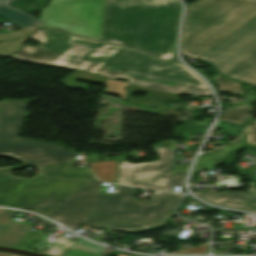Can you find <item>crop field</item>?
<instances>
[{"label": "crop field", "mask_w": 256, "mask_h": 256, "mask_svg": "<svg viewBox=\"0 0 256 256\" xmlns=\"http://www.w3.org/2000/svg\"><path fill=\"white\" fill-rule=\"evenodd\" d=\"M180 11L179 0H108L100 39L152 56L176 59Z\"/></svg>", "instance_id": "ac0d7876"}, {"label": "crop field", "mask_w": 256, "mask_h": 256, "mask_svg": "<svg viewBox=\"0 0 256 256\" xmlns=\"http://www.w3.org/2000/svg\"><path fill=\"white\" fill-rule=\"evenodd\" d=\"M76 79L98 82V83H103V84L105 83V80H106L103 77L95 76L92 74H88V73L76 70L71 75H69L67 78L61 80L60 82L70 88H80V89L88 90V88H89L88 85L80 84L75 81Z\"/></svg>", "instance_id": "733c2abd"}, {"label": "crop field", "mask_w": 256, "mask_h": 256, "mask_svg": "<svg viewBox=\"0 0 256 256\" xmlns=\"http://www.w3.org/2000/svg\"><path fill=\"white\" fill-rule=\"evenodd\" d=\"M31 227L11 222L0 233V245L15 247Z\"/></svg>", "instance_id": "cbeb9de0"}, {"label": "crop field", "mask_w": 256, "mask_h": 256, "mask_svg": "<svg viewBox=\"0 0 256 256\" xmlns=\"http://www.w3.org/2000/svg\"><path fill=\"white\" fill-rule=\"evenodd\" d=\"M16 212H11L7 210L0 209V232L3 230V228L10 223L13 218L17 215Z\"/></svg>", "instance_id": "00972430"}, {"label": "crop field", "mask_w": 256, "mask_h": 256, "mask_svg": "<svg viewBox=\"0 0 256 256\" xmlns=\"http://www.w3.org/2000/svg\"><path fill=\"white\" fill-rule=\"evenodd\" d=\"M11 1L13 0H0V17L22 27H31L43 24V21L41 20H38L16 8L8 7L7 5Z\"/></svg>", "instance_id": "d1516ede"}, {"label": "crop field", "mask_w": 256, "mask_h": 256, "mask_svg": "<svg viewBox=\"0 0 256 256\" xmlns=\"http://www.w3.org/2000/svg\"><path fill=\"white\" fill-rule=\"evenodd\" d=\"M206 248H207V245L199 248L190 249L181 253H205Z\"/></svg>", "instance_id": "ae1a2a85"}, {"label": "crop field", "mask_w": 256, "mask_h": 256, "mask_svg": "<svg viewBox=\"0 0 256 256\" xmlns=\"http://www.w3.org/2000/svg\"><path fill=\"white\" fill-rule=\"evenodd\" d=\"M38 28L39 27L32 28V29H27V30L15 31V32H12V33H9V34H5V35H0V41H5V40H8V39L19 38V37H21L23 35L35 32Z\"/></svg>", "instance_id": "a9b5d70f"}, {"label": "crop field", "mask_w": 256, "mask_h": 256, "mask_svg": "<svg viewBox=\"0 0 256 256\" xmlns=\"http://www.w3.org/2000/svg\"><path fill=\"white\" fill-rule=\"evenodd\" d=\"M199 197L212 203L228 207H237L256 212V190L255 183L249 182L247 194L243 193H210L194 192Z\"/></svg>", "instance_id": "28ad6ade"}, {"label": "crop field", "mask_w": 256, "mask_h": 256, "mask_svg": "<svg viewBox=\"0 0 256 256\" xmlns=\"http://www.w3.org/2000/svg\"><path fill=\"white\" fill-rule=\"evenodd\" d=\"M214 164V160H200L198 161L193 174H197L200 169L209 170Z\"/></svg>", "instance_id": "4177f3b9"}, {"label": "crop field", "mask_w": 256, "mask_h": 256, "mask_svg": "<svg viewBox=\"0 0 256 256\" xmlns=\"http://www.w3.org/2000/svg\"><path fill=\"white\" fill-rule=\"evenodd\" d=\"M13 169L0 168V205L27 208L46 217L90 181L46 178L40 174L23 179L14 177Z\"/></svg>", "instance_id": "f4fd0767"}, {"label": "crop field", "mask_w": 256, "mask_h": 256, "mask_svg": "<svg viewBox=\"0 0 256 256\" xmlns=\"http://www.w3.org/2000/svg\"><path fill=\"white\" fill-rule=\"evenodd\" d=\"M106 1L51 0L39 18L44 25L99 39Z\"/></svg>", "instance_id": "d8731c3e"}, {"label": "crop field", "mask_w": 256, "mask_h": 256, "mask_svg": "<svg viewBox=\"0 0 256 256\" xmlns=\"http://www.w3.org/2000/svg\"><path fill=\"white\" fill-rule=\"evenodd\" d=\"M196 1H198V0H196Z\"/></svg>", "instance_id": "120bbe31"}, {"label": "crop field", "mask_w": 256, "mask_h": 256, "mask_svg": "<svg viewBox=\"0 0 256 256\" xmlns=\"http://www.w3.org/2000/svg\"><path fill=\"white\" fill-rule=\"evenodd\" d=\"M27 36L18 40L0 43V55L13 56L17 50L30 38Z\"/></svg>", "instance_id": "92a150f3"}, {"label": "crop field", "mask_w": 256, "mask_h": 256, "mask_svg": "<svg viewBox=\"0 0 256 256\" xmlns=\"http://www.w3.org/2000/svg\"><path fill=\"white\" fill-rule=\"evenodd\" d=\"M160 160L132 165L119 161L117 183L139 188L168 191L174 186H183L185 177L171 175L178 158L172 151L154 148Z\"/></svg>", "instance_id": "5a996713"}, {"label": "crop field", "mask_w": 256, "mask_h": 256, "mask_svg": "<svg viewBox=\"0 0 256 256\" xmlns=\"http://www.w3.org/2000/svg\"><path fill=\"white\" fill-rule=\"evenodd\" d=\"M247 143L256 145V125L248 130Z\"/></svg>", "instance_id": "730fd06b"}, {"label": "crop field", "mask_w": 256, "mask_h": 256, "mask_svg": "<svg viewBox=\"0 0 256 256\" xmlns=\"http://www.w3.org/2000/svg\"><path fill=\"white\" fill-rule=\"evenodd\" d=\"M0 256H19V255H14V254H9V253H1Z\"/></svg>", "instance_id": "bd1437ed"}, {"label": "crop field", "mask_w": 256, "mask_h": 256, "mask_svg": "<svg viewBox=\"0 0 256 256\" xmlns=\"http://www.w3.org/2000/svg\"><path fill=\"white\" fill-rule=\"evenodd\" d=\"M174 140H166L162 141L156 144H153L152 146H158V147H163V148H169V149H176L175 147H172L174 145Z\"/></svg>", "instance_id": "eef30255"}, {"label": "crop field", "mask_w": 256, "mask_h": 256, "mask_svg": "<svg viewBox=\"0 0 256 256\" xmlns=\"http://www.w3.org/2000/svg\"><path fill=\"white\" fill-rule=\"evenodd\" d=\"M255 16L254 0H200L186 8L180 52L195 59Z\"/></svg>", "instance_id": "412701ff"}, {"label": "crop field", "mask_w": 256, "mask_h": 256, "mask_svg": "<svg viewBox=\"0 0 256 256\" xmlns=\"http://www.w3.org/2000/svg\"><path fill=\"white\" fill-rule=\"evenodd\" d=\"M134 188L116 185V193L100 191L86 222L94 228L148 231L167 224L183 194L155 191L148 202L134 201ZM86 225V226H87Z\"/></svg>", "instance_id": "34b2d1b8"}, {"label": "crop field", "mask_w": 256, "mask_h": 256, "mask_svg": "<svg viewBox=\"0 0 256 256\" xmlns=\"http://www.w3.org/2000/svg\"><path fill=\"white\" fill-rule=\"evenodd\" d=\"M104 249L79 238L63 256H101Z\"/></svg>", "instance_id": "5142ce71"}, {"label": "crop field", "mask_w": 256, "mask_h": 256, "mask_svg": "<svg viewBox=\"0 0 256 256\" xmlns=\"http://www.w3.org/2000/svg\"><path fill=\"white\" fill-rule=\"evenodd\" d=\"M30 101L33 100H2L0 107V156L15 158L32 166L72 161L75 152L63 150L62 146L18 139L22 120L30 115L26 112V103Z\"/></svg>", "instance_id": "dd49c442"}, {"label": "crop field", "mask_w": 256, "mask_h": 256, "mask_svg": "<svg viewBox=\"0 0 256 256\" xmlns=\"http://www.w3.org/2000/svg\"><path fill=\"white\" fill-rule=\"evenodd\" d=\"M1 104V103H0Z\"/></svg>", "instance_id": "d32e631a"}, {"label": "crop field", "mask_w": 256, "mask_h": 256, "mask_svg": "<svg viewBox=\"0 0 256 256\" xmlns=\"http://www.w3.org/2000/svg\"><path fill=\"white\" fill-rule=\"evenodd\" d=\"M215 76H216L217 86H218V89L220 92L234 93V94H238V95L242 94L241 90H240L239 83L225 79V78L219 76L218 74H215Z\"/></svg>", "instance_id": "214f88e0"}, {"label": "crop field", "mask_w": 256, "mask_h": 256, "mask_svg": "<svg viewBox=\"0 0 256 256\" xmlns=\"http://www.w3.org/2000/svg\"><path fill=\"white\" fill-rule=\"evenodd\" d=\"M233 245V242L226 243L225 251H214V253H232Z\"/></svg>", "instance_id": "d3111659"}, {"label": "crop field", "mask_w": 256, "mask_h": 256, "mask_svg": "<svg viewBox=\"0 0 256 256\" xmlns=\"http://www.w3.org/2000/svg\"><path fill=\"white\" fill-rule=\"evenodd\" d=\"M196 120L192 121H186L183 123V125H177L174 127V135L172 137H178L179 133L181 134V137H183L184 132L188 133H202L204 134L205 130L208 128L209 124H200L195 125Z\"/></svg>", "instance_id": "bc2a9ffb"}, {"label": "crop field", "mask_w": 256, "mask_h": 256, "mask_svg": "<svg viewBox=\"0 0 256 256\" xmlns=\"http://www.w3.org/2000/svg\"><path fill=\"white\" fill-rule=\"evenodd\" d=\"M117 160L88 163L101 181L114 183Z\"/></svg>", "instance_id": "d9b57169"}, {"label": "crop field", "mask_w": 256, "mask_h": 256, "mask_svg": "<svg viewBox=\"0 0 256 256\" xmlns=\"http://www.w3.org/2000/svg\"><path fill=\"white\" fill-rule=\"evenodd\" d=\"M102 182L93 180L71 197L63 201L48 217L73 229L84 224L90 214Z\"/></svg>", "instance_id": "3316defc"}, {"label": "crop field", "mask_w": 256, "mask_h": 256, "mask_svg": "<svg viewBox=\"0 0 256 256\" xmlns=\"http://www.w3.org/2000/svg\"><path fill=\"white\" fill-rule=\"evenodd\" d=\"M250 110L251 106L226 107L220 119L243 125Z\"/></svg>", "instance_id": "4a817a6b"}, {"label": "crop field", "mask_w": 256, "mask_h": 256, "mask_svg": "<svg viewBox=\"0 0 256 256\" xmlns=\"http://www.w3.org/2000/svg\"><path fill=\"white\" fill-rule=\"evenodd\" d=\"M44 176L78 178V179H93L94 176L88 168L70 170L69 163L54 164L39 167Z\"/></svg>", "instance_id": "22f410ed"}, {"label": "crop field", "mask_w": 256, "mask_h": 256, "mask_svg": "<svg viewBox=\"0 0 256 256\" xmlns=\"http://www.w3.org/2000/svg\"><path fill=\"white\" fill-rule=\"evenodd\" d=\"M199 60L225 77L256 85V19Z\"/></svg>", "instance_id": "e52e79f7"}, {"label": "crop field", "mask_w": 256, "mask_h": 256, "mask_svg": "<svg viewBox=\"0 0 256 256\" xmlns=\"http://www.w3.org/2000/svg\"><path fill=\"white\" fill-rule=\"evenodd\" d=\"M105 86L107 87L104 92L117 94V95H120L122 99H125L126 90H123V88L127 87V84L107 79Z\"/></svg>", "instance_id": "dafd665d"}, {"label": "crop field", "mask_w": 256, "mask_h": 256, "mask_svg": "<svg viewBox=\"0 0 256 256\" xmlns=\"http://www.w3.org/2000/svg\"><path fill=\"white\" fill-rule=\"evenodd\" d=\"M200 159H215L214 152L208 155L200 156Z\"/></svg>", "instance_id": "750c4746"}, {"label": "crop field", "mask_w": 256, "mask_h": 256, "mask_svg": "<svg viewBox=\"0 0 256 256\" xmlns=\"http://www.w3.org/2000/svg\"><path fill=\"white\" fill-rule=\"evenodd\" d=\"M31 38L37 47L23 45L13 56L26 60L82 70L128 84L171 93L210 95L208 87L180 63L147 56L100 42L40 28Z\"/></svg>", "instance_id": "8a807250"}, {"label": "crop field", "mask_w": 256, "mask_h": 256, "mask_svg": "<svg viewBox=\"0 0 256 256\" xmlns=\"http://www.w3.org/2000/svg\"><path fill=\"white\" fill-rule=\"evenodd\" d=\"M118 256H121V255H118Z\"/></svg>", "instance_id": "1d83c4d3"}]
</instances>
